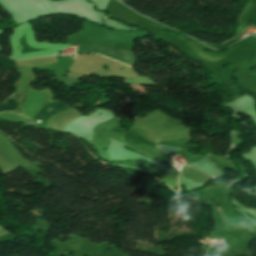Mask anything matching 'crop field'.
I'll list each match as a JSON object with an SVG mask.
<instances>
[{"label":"crop field","instance_id":"crop-field-1","mask_svg":"<svg viewBox=\"0 0 256 256\" xmlns=\"http://www.w3.org/2000/svg\"><path fill=\"white\" fill-rule=\"evenodd\" d=\"M79 48L80 51H77L76 53H96L107 56L109 58H112L114 60L120 61L131 66L134 64L133 57L131 55V52L129 51L92 45H83L79 46Z\"/></svg>","mask_w":256,"mask_h":256},{"label":"crop field","instance_id":"crop-field-5","mask_svg":"<svg viewBox=\"0 0 256 256\" xmlns=\"http://www.w3.org/2000/svg\"><path fill=\"white\" fill-rule=\"evenodd\" d=\"M175 134V133H174ZM168 135H171V134H168ZM162 136H164V135H162Z\"/></svg>","mask_w":256,"mask_h":256},{"label":"crop field","instance_id":"crop-field-4","mask_svg":"<svg viewBox=\"0 0 256 256\" xmlns=\"http://www.w3.org/2000/svg\"><path fill=\"white\" fill-rule=\"evenodd\" d=\"M6 231H4L3 229L0 228V236L5 235Z\"/></svg>","mask_w":256,"mask_h":256},{"label":"crop field","instance_id":"crop-field-2","mask_svg":"<svg viewBox=\"0 0 256 256\" xmlns=\"http://www.w3.org/2000/svg\"><path fill=\"white\" fill-rule=\"evenodd\" d=\"M68 108L67 105L59 102V101H56V100H53V101H50V100H47L44 108L41 110V112L36 116L34 117L33 119L35 120H40L44 117H47V116H50L52 114H55L57 112H60L64 109ZM51 110L50 112H48V110Z\"/></svg>","mask_w":256,"mask_h":256},{"label":"crop field","instance_id":"crop-field-3","mask_svg":"<svg viewBox=\"0 0 256 256\" xmlns=\"http://www.w3.org/2000/svg\"><path fill=\"white\" fill-rule=\"evenodd\" d=\"M19 105H8L6 103L0 104V111H15Z\"/></svg>","mask_w":256,"mask_h":256}]
</instances>
